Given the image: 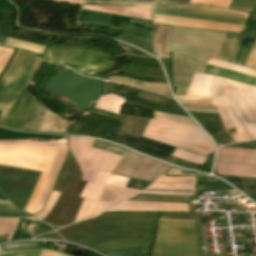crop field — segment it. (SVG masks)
I'll list each match as a JSON object with an SVG mask.
<instances>
[{
	"label": "crop field",
	"mask_w": 256,
	"mask_h": 256,
	"mask_svg": "<svg viewBox=\"0 0 256 256\" xmlns=\"http://www.w3.org/2000/svg\"><path fill=\"white\" fill-rule=\"evenodd\" d=\"M109 175V172L98 170L93 181L87 182L80 195L84 200L75 221L96 216L114 204L140 192L136 189L104 184Z\"/></svg>",
	"instance_id": "obj_4"
},
{
	"label": "crop field",
	"mask_w": 256,
	"mask_h": 256,
	"mask_svg": "<svg viewBox=\"0 0 256 256\" xmlns=\"http://www.w3.org/2000/svg\"><path fill=\"white\" fill-rule=\"evenodd\" d=\"M207 64L256 77L255 70L248 69V68H245L242 66H238V65H234V64H230V63H226V62H221V61H217V60H211V59L208 60Z\"/></svg>",
	"instance_id": "obj_27"
},
{
	"label": "crop field",
	"mask_w": 256,
	"mask_h": 256,
	"mask_svg": "<svg viewBox=\"0 0 256 256\" xmlns=\"http://www.w3.org/2000/svg\"><path fill=\"white\" fill-rule=\"evenodd\" d=\"M131 200L137 201H150V202H180L187 203V196H160V195H146V194H138L132 198Z\"/></svg>",
	"instance_id": "obj_26"
},
{
	"label": "crop field",
	"mask_w": 256,
	"mask_h": 256,
	"mask_svg": "<svg viewBox=\"0 0 256 256\" xmlns=\"http://www.w3.org/2000/svg\"><path fill=\"white\" fill-rule=\"evenodd\" d=\"M231 110V109H230ZM232 112V111H231ZM233 113V112H232ZM234 115V114H233ZM220 116V115H219ZM235 116V115H234ZM221 119V118H220ZM222 121V120H221ZM223 124V123H222ZM224 126V125H223ZM242 126V125H241ZM243 127V126H242ZM225 129V128H224ZM229 130V129H228ZM245 130V129H244ZM226 131V130H225Z\"/></svg>",
	"instance_id": "obj_51"
},
{
	"label": "crop field",
	"mask_w": 256,
	"mask_h": 256,
	"mask_svg": "<svg viewBox=\"0 0 256 256\" xmlns=\"http://www.w3.org/2000/svg\"><path fill=\"white\" fill-rule=\"evenodd\" d=\"M203 73L222 77L225 79H229L232 81H236V82H240L243 84H247V85L256 87V78L246 76L243 74H239L236 72H232V71H228V70H224V69H220V68H216V67L207 65Z\"/></svg>",
	"instance_id": "obj_19"
},
{
	"label": "crop field",
	"mask_w": 256,
	"mask_h": 256,
	"mask_svg": "<svg viewBox=\"0 0 256 256\" xmlns=\"http://www.w3.org/2000/svg\"><path fill=\"white\" fill-rule=\"evenodd\" d=\"M153 113H154V119H157V120H164V121H171V122H178V123L196 125L194 123V121L191 118H188V117L176 116V115L160 113V112H155V111H153Z\"/></svg>",
	"instance_id": "obj_29"
},
{
	"label": "crop field",
	"mask_w": 256,
	"mask_h": 256,
	"mask_svg": "<svg viewBox=\"0 0 256 256\" xmlns=\"http://www.w3.org/2000/svg\"><path fill=\"white\" fill-rule=\"evenodd\" d=\"M231 187L219 180L207 177H197L195 184V192L204 191H221L230 189Z\"/></svg>",
	"instance_id": "obj_25"
},
{
	"label": "crop field",
	"mask_w": 256,
	"mask_h": 256,
	"mask_svg": "<svg viewBox=\"0 0 256 256\" xmlns=\"http://www.w3.org/2000/svg\"><path fill=\"white\" fill-rule=\"evenodd\" d=\"M252 17H256V6H255V8H254V10H253V12H252V15H251Z\"/></svg>",
	"instance_id": "obj_49"
},
{
	"label": "crop field",
	"mask_w": 256,
	"mask_h": 256,
	"mask_svg": "<svg viewBox=\"0 0 256 256\" xmlns=\"http://www.w3.org/2000/svg\"><path fill=\"white\" fill-rule=\"evenodd\" d=\"M223 177L256 202V179L229 176Z\"/></svg>",
	"instance_id": "obj_21"
},
{
	"label": "crop field",
	"mask_w": 256,
	"mask_h": 256,
	"mask_svg": "<svg viewBox=\"0 0 256 256\" xmlns=\"http://www.w3.org/2000/svg\"><path fill=\"white\" fill-rule=\"evenodd\" d=\"M111 141L128 146L138 152L158 158L163 161H165L174 150V147L126 132L119 127L116 129L114 135L111 138Z\"/></svg>",
	"instance_id": "obj_11"
},
{
	"label": "crop field",
	"mask_w": 256,
	"mask_h": 256,
	"mask_svg": "<svg viewBox=\"0 0 256 256\" xmlns=\"http://www.w3.org/2000/svg\"><path fill=\"white\" fill-rule=\"evenodd\" d=\"M142 193H157V194H185V195H193V193H181V192H157V191H144Z\"/></svg>",
	"instance_id": "obj_46"
},
{
	"label": "crop field",
	"mask_w": 256,
	"mask_h": 256,
	"mask_svg": "<svg viewBox=\"0 0 256 256\" xmlns=\"http://www.w3.org/2000/svg\"><path fill=\"white\" fill-rule=\"evenodd\" d=\"M215 171L218 174L245 176L256 178V166L216 162Z\"/></svg>",
	"instance_id": "obj_17"
},
{
	"label": "crop field",
	"mask_w": 256,
	"mask_h": 256,
	"mask_svg": "<svg viewBox=\"0 0 256 256\" xmlns=\"http://www.w3.org/2000/svg\"><path fill=\"white\" fill-rule=\"evenodd\" d=\"M93 147L100 148V149H103L105 151L115 153V154H119V155H122V156L126 152V149H123L121 147L115 146V145L110 144V143L98 141V140H95V142L93 144Z\"/></svg>",
	"instance_id": "obj_33"
},
{
	"label": "crop field",
	"mask_w": 256,
	"mask_h": 256,
	"mask_svg": "<svg viewBox=\"0 0 256 256\" xmlns=\"http://www.w3.org/2000/svg\"><path fill=\"white\" fill-rule=\"evenodd\" d=\"M162 105L180 108L175 102H173V101H171V100H169L167 98H165V100H164Z\"/></svg>",
	"instance_id": "obj_48"
},
{
	"label": "crop field",
	"mask_w": 256,
	"mask_h": 256,
	"mask_svg": "<svg viewBox=\"0 0 256 256\" xmlns=\"http://www.w3.org/2000/svg\"><path fill=\"white\" fill-rule=\"evenodd\" d=\"M215 83L236 86L256 91V88L251 86L243 85L214 76L195 73L186 96L175 95V97L180 103L210 106Z\"/></svg>",
	"instance_id": "obj_9"
},
{
	"label": "crop field",
	"mask_w": 256,
	"mask_h": 256,
	"mask_svg": "<svg viewBox=\"0 0 256 256\" xmlns=\"http://www.w3.org/2000/svg\"><path fill=\"white\" fill-rule=\"evenodd\" d=\"M217 160L242 164H256V150L221 147L218 149Z\"/></svg>",
	"instance_id": "obj_15"
},
{
	"label": "crop field",
	"mask_w": 256,
	"mask_h": 256,
	"mask_svg": "<svg viewBox=\"0 0 256 256\" xmlns=\"http://www.w3.org/2000/svg\"><path fill=\"white\" fill-rule=\"evenodd\" d=\"M240 37L235 34H226L217 59L230 62L240 41Z\"/></svg>",
	"instance_id": "obj_23"
},
{
	"label": "crop field",
	"mask_w": 256,
	"mask_h": 256,
	"mask_svg": "<svg viewBox=\"0 0 256 256\" xmlns=\"http://www.w3.org/2000/svg\"><path fill=\"white\" fill-rule=\"evenodd\" d=\"M77 3L79 0H53ZM158 0H80V3L151 11Z\"/></svg>",
	"instance_id": "obj_13"
},
{
	"label": "crop field",
	"mask_w": 256,
	"mask_h": 256,
	"mask_svg": "<svg viewBox=\"0 0 256 256\" xmlns=\"http://www.w3.org/2000/svg\"><path fill=\"white\" fill-rule=\"evenodd\" d=\"M170 167L127 150L112 174L154 181Z\"/></svg>",
	"instance_id": "obj_8"
},
{
	"label": "crop field",
	"mask_w": 256,
	"mask_h": 256,
	"mask_svg": "<svg viewBox=\"0 0 256 256\" xmlns=\"http://www.w3.org/2000/svg\"><path fill=\"white\" fill-rule=\"evenodd\" d=\"M256 0H233L229 6L230 9L251 12Z\"/></svg>",
	"instance_id": "obj_32"
},
{
	"label": "crop field",
	"mask_w": 256,
	"mask_h": 256,
	"mask_svg": "<svg viewBox=\"0 0 256 256\" xmlns=\"http://www.w3.org/2000/svg\"><path fill=\"white\" fill-rule=\"evenodd\" d=\"M245 111L247 112V114L251 117V119L256 124V110L245 109Z\"/></svg>",
	"instance_id": "obj_47"
},
{
	"label": "crop field",
	"mask_w": 256,
	"mask_h": 256,
	"mask_svg": "<svg viewBox=\"0 0 256 256\" xmlns=\"http://www.w3.org/2000/svg\"><path fill=\"white\" fill-rule=\"evenodd\" d=\"M154 17L172 19V20H180V21H187V22H195V23L217 24V25H226V26L244 28L242 26H237V25L221 24V23L208 22V21H202V20L182 19V18H173V17H165V16H157V15H154Z\"/></svg>",
	"instance_id": "obj_42"
},
{
	"label": "crop field",
	"mask_w": 256,
	"mask_h": 256,
	"mask_svg": "<svg viewBox=\"0 0 256 256\" xmlns=\"http://www.w3.org/2000/svg\"><path fill=\"white\" fill-rule=\"evenodd\" d=\"M182 105L188 111L218 114L215 107L190 106V105H184V104Z\"/></svg>",
	"instance_id": "obj_41"
},
{
	"label": "crop field",
	"mask_w": 256,
	"mask_h": 256,
	"mask_svg": "<svg viewBox=\"0 0 256 256\" xmlns=\"http://www.w3.org/2000/svg\"><path fill=\"white\" fill-rule=\"evenodd\" d=\"M239 94L245 108L256 109V96L241 93Z\"/></svg>",
	"instance_id": "obj_39"
},
{
	"label": "crop field",
	"mask_w": 256,
	"mask_h": 256,
	"mask_svg": "<svg viewBox=\"0 0 256 256\" xmlns=\"http://www.w3.org/2000/svg\"><path fill=\"white\" fill-rule=\"evenodd\" d=\"M117 39H119L121 41H124L126 43H129V44L138 46V47L144 49L145 51L155 55L152 45L150 43L146 42V41H143L141 39L134 38V37H131V36H128V35H124V34L117 37Z\"/></svg>",
	"instance_id": "obj_30"
},
{
	"label": "crop field",
	"mask_w": 256,
	"mask_h": 256,
	"mask_svg": "<svg viewBox=\"0 0 256 256\" xmlns=\"http://www.w3.org/2000/svg\"><path fill=\"white\" fill-rule=\"evenodd\" d=\"M42 62L31 53L17 50L0 80V126L23 129L34 98L25 90Z\"/></svg>",
	"instance_id": "obj_2"
},
{
	"label": "crop field",
	"mask_w": 256,
	"mask_h": 256,
	"mask_svg": "<svg viewBox=\"0 0 256 256\" xmlns=\"http://www.w3.org/2000/svg\"><path fill=\"white\" fill-rule=\"evenodd\" d=\"M40 256H69V255H66V254L60 253V252L43 249Z\"/></svg>",
	"instance_id": "obj_45"
},
{
	"label": "crop field",
	"mask_w": 256,
	"mask_h": 256,
	"mask_svg": "<svg viewBox=\"0 0 256 256\" xmlns=\"http://www.w3.org/2000/svg\"><path fill=\"white\" fill-rule=\"evenodd\" d=\"M6 202L10 204L8 201ZM6 202L0 201V204L8 205ZM3 205H0V215H4V216H27L28 215L18 210L11 204H10L11 206H3Z\"/></svg>",
	"instance_id": "obj_34"
},
{
	"label": "crop field",
	"mask_w": 256,
	"mask_h": 256,
	"mask_svg": "<svg viewBox=\"0 0 256 256\" xmlns=\"http://www.w3.org/2000/svg\"><path fill=\"white\" fill-rule=\"evenodd\" d=\"M128 179L129 178H126V177H118V176L110 175L106 183L125 187Z\"/></svg>",
	"instance_id": "obj_43"
},
{
	"label": "crop field",
	"mask_w": 256,
	"mask_h": 256,
	"mask_svg": "<svg viewBox=\"0 0 256 256\" xmlns=\"http://www.w3.org/2000/svg\"><path fill=\"white\" fill-rule=\"evenodd\" d=\"M137 98H141V99H145V100H149V101L161 104L165 97L141 90Z\"/></svg>",
	"instance_id": "obj_36"
},
{
	"label": "crop field",
	"mask_w": 256,
	"mask_h": 256,
	"mask_svg": "<svg viewBox=\"0 0 256 256\" xmlns=\"http://www.w3.org/2000/svg\"><path fill=\"white\" fill-rule=\"evenodd\" d=\"M43 60L68 65L89 75L107 69L114 63L113 57L104 51L69 45L48 46Z\"/></svg>",
	"instance_id": "obj_5"
},
{
	"label": "crop field",
	"mask_w": 256,
	"mask_h": 256,
	"mask_svg": "<svg viewBox=\"0 0 256 256\" xmlns=\"http://www.w3.org/2000/svg\"><path fill=\"white\" fill-rule=\"evenodd\" d=\"M154 14L175 16V17H184V18L202 19V20L215 21V22H221V23L237 24V25H242V26L245 25V22H243V21H238V20H234V19H230V18H226V17L200 15V14H192V13H183V12L165 10V9H158V8H155Z\"/></svg>",
	"instance_id": "obj_16"
},
{
	"label": "crop field",
	"mask_w": 256,
	"mask_h": 256,
	"mask_svg": "<svg viewBox=\"0 0 256 256\" xmlns=\"http://www.w3.org/2000/svg\"><path fill=\"white\" fill-rule=\"evenodd\" d=\"M77 25L115 30L137 36L152 43L150 22L126 18L117 15L80 10L76 19Z\"/></svg>",
	"instance_id": "obj_7"
},
{
	"label": "crop field",
	"mask_w": 256,
	"mask_h": 256,
	"mask_svg": "<svg viewBox=\"0 0 256 256\" xmlns=\"http://www.w3.org/2000/svg\"><path fill=\"white\" fill-rule=\"evenodd\" d=\"M157 7L208 13V14H213V15L234 17V18H239V19H244V20H246L248 17L247 13L234 11V10H230V9L210 7V6H199V5H194V4H185V3H178V2L165 1V0H161L160 3L157 5Z\"/></svg>",
	"instance_id": "obj_12"
},
{
	"label": "crop field",
	"mask_w": 256,
	"mask_h": 256,
	"mask_svg": "<svg viewBox=\"0 0 256 256\" xmlns=\"http://www.w3.org/2000/svg\"><path fill=\"white\" fill-rule=\"evenodd\" d=\"M4 45L9 46V47L24 48L26 50H30V51H33V52L39 53V54H42L43 49H44L43 45H38V44H34V43L19 41V40L10 39V38H7Z\"/></svg>",
	"instance_id": "obj_28"
},
{
	"label": "crop field",
	"mask_w": 256,
	"mask_h": 256,
	"mask_svg": "<svg viewBox=\"0 0 256 256\" xmlns=\"http://www.w3.org/2000/svg\"><path fill=\"white\" fill-rule=\"evenodd\" d=\"M154 21H155V24L167 25V26L189 27V28H198V29L222 31V32H233V33L242 32V30H240V29H234V28H228V27H222V26H215V25L186 23V22L170 21V20H163V19H157V18H154Z\"/></svg>",
	"instance_id": "obj_20"
},
{
	"label": "crop field",
	"mask_w": 256,
	"mask_h": 256,
	"mask_svg": "<svg viewBox=\"0 0 256 256\" xmlns=\"http://www.w3.org/2000/svg\"><path fill=\"white\" fill-rule=\"evenodd\" d=\"M167 162H170L172 164L181 166L183 168H188V169H194V167L196 166V163H192V162L182 160V159L172 157V156H170V158L168 159Z\"/></svg>",
	"instance_id": "obj_40"
},
{
	"label": "crop field",
	"mask_w": 256,
	"mask_h": 256,
	"mask_svg": "<svg viewBox=\"0 0 256 256\" xmlns=\"http://www.w3.org/2000/svg\"><path fill=\"white\" fill-rule=\"evenodd\" d=\"M16 219H2L0 218V235L10 234L13 229L14 223ZM9 235L0 236V242H4L7 240Z\"/></svg>",
	"instance_id": "obj_31"
},
{
	"label": "crop field",
	"mask_w": 256,
	"mask_h": 256,
	"mask_svg": "<svg viewBox=\"0 0 256 256\" xmlns=\"http://www.w3.org/2000/svg\"><path fill=\"white\" fill-rule=\"evenodd\" d=\"M66 138L56 142L0 141V164L42 171L25 207L34 214L41 210L65 158Z\"/></svg>",
	"instance_id": "obj_1"
},
{
	"label": "crop field",
	"mask_w": 256,
	"mask_h": 256,
	"mask_svg": "<svg viewBox=\"0 0 256 256\" xmlns=\"http://www.w3.org/2000/svg\"><path fill=\"white\" fill-rule=\"evenodd\" d=\"M38 224H39V221L35 219L25 218L21 220L11 241L32 238L38 227Z\"/></svg>",
	"instance_id": "obj_24"
},
{
	"label": "crop field",
	"mask_w": 256,
	"mask_h": 256,
	"mask_svg": "<svg viewBox=\"0 0 256 256\" xmlns=\"http://www.w3.org/2000/svg\"><path fill=\"white\" fill-rule=\"evenodd\" d=\"M225 34L174 28L170 51L217 58Z\"/></svg>",
	"instance_id": "obj_6"
},
{
	"label": "crop field",
	"mask_w": 256,
	"mask_h": 256,
	"mask_svg": "<svg viewBox=\"0 0 256 256\" xmlns=\"http://www.w3.org/2000/svg\"><path fill=\"white\" fill-rule=\"evenodd\" d=\"M151 256H198L194 220H159Z\"/></svg>",
	"instance_id": "obj_3"
},
{
	"label": "crop field",
	"mask_w": 256,
	"mask_h": 256,
	"mask_svg": "<svg viewBox=\"0 0 256 256\" xmlns=\"http://www.w3.org/2000/svg\"><path fill=\"white\" fill-rule=\"evenodd\" d=\"M196 177H161L148 189L193 191Z\"/></svg>",
	"instance_id": "obj_14"
},
{
	"label": "crop field",
	"mask_w": 256,
	"mask_h": 256,
	"mask_svg": "<svg viewBox=\"0 0 256 256\" xmlns=\"http://www.w3.org/2000/svg\"><path fill=\"white\" fill-rule=\"evenodd\" d=\"M40 249H26L13 252L0 253V256H37Z\"/></svg>",
	"instance_id": "obj_35"
},
{
	"label": "crop field",
	"mask_w": 256,
	"mask_h": 256,
	"mask_svg": "<svg viewBox=\"0 0 256 256\" xmlns=\"http://www.w3.org/2000/svg\"><path fill=\"white\" fill-rule=\"evenodd\" d=\"M107 78L109 81L134 86V87H137V88H140L143 90L152 91V92L162 94L166 97H171L167 85L145 83V82H141V81L123 78L121 76H108Z\"/></svg>",
	"instance_id": "obj_18"
},
{
	"label": "crop field",
	"mask_w": 256,
	"mask_h": 256,
	"mask_svg": "<svg viewBox=\"0 0 256 256\" xmlns=\"http://www.w3.org/2000/svg\"><path fill=\"white\" fill-rule=\"evenodd\" d=\"M245 67L252 68L256 70V42L252 49V52L245 64Z\"/></svg>",
	"instance_id": "obj_44"
},
{
	"label": "crop field",
	"mask_w": 256,
	"mask_h": 256,
	"mask_svg": "<svg viewBox=\"0 0 256 256\" xmlns=\"http://www.w3.org/2000/svg\"><path fill=\"white\" fill-rule=\"evenodd\" d=\"M4 39H5V38L0 37V45H2V44H3Z\"/></svg>",
	"instance_id": "obj_50"
},
{
	"label": "crop field",
	"mask_w": 256,
	"mask_h": 256,
	"mask_svg": "<svg viewBox=\"0 0 256 256\" xmlns=\"http://www.w3.org/2000/svg\"><path fill=\"white\" fill-rule=\"evenodd\" d=\"M117 44L121 47L124 48V50L128 53L129 56H137V57H149V58H152L151 56L141 52L140 50L138 49H135V48H132L126 44H123V43H120V42H117Z\"/></svg>",
	"instance_id": "obj_38"
},
{
	"label": "crop field",
	"mask_w": 256,
	"mask_h": 256,
	"mask_svg": "<svg viewBox=\"0 0 256 256\" xmlns=\"http://www.w3.org/2000/svg\"><path fill=\"white\" fill-rule=\"evenodd\" d=\"M14 50L0 47V72L11 57Z\"/></svg>",
	"instance_id": "obj_37"
},
{
	"label": "crop field",
	"mask_w": 256,
	"mask_h": 256,
	"mask_svg": "<svg viewBox=\"0 0 256 256\" xmlns=\"http://www.w3.org/2000/svg\"><path fill=\"white\" fill-rule=\"evenodd\" d=\"M207 60L202 57L174 53V94H186L194 72L202 73Z\"/></svg>",
	"instance_id": "obj_10"
},
{
	"label": "crop field",
	"mask_w": 256,
	"mask_h": 256,
	"mask_svg": "<svg viewBox=\"0 0 256 256\" xmlns=\"http://www.w3.org/2000/svg\"><path fill=\"white\" fill-rule=\"evenodd\" d=\"M255 40L256 37L242 36L241 41L231 62L243 66L254 45Z\"/></svg>",
	"instance_id": "obj_22"
}]
</instances>
